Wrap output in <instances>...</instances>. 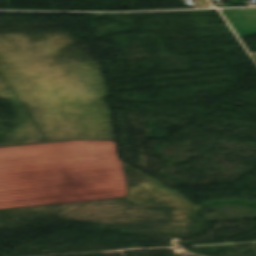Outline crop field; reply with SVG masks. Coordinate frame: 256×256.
Listing matches in <instances>:
<instances>
[{
  "mask_svg": "<svg viewBox=\"0 0 256 256\" xmlns=\"http://www.w3.org/2000/svg\"><path fill=\"white\" fill-rule=\"evenodd\" d=\"M221 11L225 14L240 37L256 34V8Z\"/></svg>",
  "mask_w": 256,
  "mask_h": 256,
  "instance_id": "crop-field-1",
  "label": "crop field"
},
{
  "mask_svg": "<svg viewBox=\"0 0 256 256\" xmlns=\"http://www.w3.org/2000/svg\"><path fill=\"white\" fill-rule=\"evenodd\" d=\"M198 8L210 7L207 0H193Z\"/></svg>",
  "mask_w": 256,
  "mask_h": 256,
  "instance_id": "crop-field-2",
  "label": "crop field"
}]
</instances>
